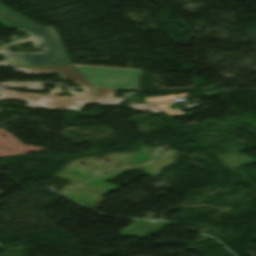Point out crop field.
Here are the masks:
<instances>
[{"label": "crop field", "mask_w": 256, "mask_h": 256, "mask_svg": "<svg viewBox=\"0 0 256 256\" xmlns=\"http://www.w3.org/2000/svg\"><path fill=\"white\" fill-rule=\"evenodd\" d=\"M0 10L3 11L4 13H6L7 15H9V16H11V17H13V18H15V19H17V20H19V21H21V22H23V23H25L29 26H31V27L39 26L38 24H36V23H34V22H32V21L16 14V13H14L13 11L7 9L2 4H0Z\"/></svg>", "instance_id": "crop-field-7"}, {"label": "crop field", "mask_w": 256, "mask_h": 256, "mask_svg": "<svg viewBox=\"0 0 256 256\" xmlns=\"http://www.w3.org/2000/svg\"><path fill=\"white\" fill-rule=\"evenodd\" d=\"M188 93H184V94H177V95H168L166 97H155V98H148L147 103H153V102H169V101H173V99L175 97H179V98H184L187 97ZM145 100V101H146Z\"/></svg>", "instance_id": "crop-field-8"}, {"label": "crop field", "mask_w": 256, "mask_h": 256, "mask_svg": "<svg viewBox=\"0 0 256 256\" xmlns=\"http://www.w3.org/2000/svg\"><path fill=\"white\" fill-rule=\"evenodd\" d=\"M25 33L32 34V37L26 40L13 42L0 48V54H3L7 60L0 62L4 67H19L37 64H55L69 63L63 46L53 28H36V29H20ZM28 41H32L34 46L41 53L19 54L12 51H6L7 45H27Z\"/></svg>", "instance_id": "crop-field-1"}, {"label": "crop field", "mask_w": 256, "mask_h": 256, "mask_svg": "<svg viewBox=\"0 0 256 256\" xmlns=\"http://www.w3.org/2000/svg\"><path fill=\"white\" fill-rule=\"evenodd\" d=\"M75 67L84 74L95 87L139 90L137 81L141 71Z\"/></svg>", "instance_id": "crop-field-2"}, {"label": "crop field", "mask_w": 256, "mask_h": 256, "mask_svg": "<svg viewBox=\"0 0 256 256\" xmlns=\"http://www.w3.org/2000/svg\"><path fill=\"white\" fill-rule=\"evenodd\" d=\"M78 66H84V65H78ZM86 67H97V66H86ZM103 68H110V67H103ZM119 69H123V68H119ZM136 70V69H134Z\"/></svg>", "instance_id": "crop-field-12"}, {"label": "crop field", "mask_w": 256, "mask_h": 256, "mask_svg": "<svg viewBox=\"0 0 256 256\" xmlns=\"http://www.w3.org/2000/svg\"><path fill=\"white\" fill-rule=\"evenodd\" d=\"M158 108H160L161 110L165 111L168 115H173V114H185L179 110H172V109H167L170 104H163V105H155Z\"/></svg>", "instance_id": "crop-field-10"}, {"label": "crop field", "mask_w": 256, "mask_h": 256, "mask_svg": "<svg viewBox=\"0 0 256 256\" xmlns=\"http://www.w3.org/2000/svg\"><path fill=\"white\" fill-rule=\"evenodd\" d=\"M56 86H57V91H60L62 93L61 87H58V85H56Z\"/></svg>", "instance_id": "crop-field-13"}, {"label": "crop field", "mask_w": 256, "mask_h": 256, "mask_svg": "<svg viewBox=\"0 0 256 256\" xmlns=\"http://www.w3.org/2000/svg\"><path fill=\"white\" fill-rule=\"evenodd\" d=\"M16 71L26 72L28 74H49L60 72L63 79L70 80L83 88V93H75V97H96L95 89L72 67L71 64L39 66V67H23L16 68Z\"/></svg>", "instance_id": "crop-field-4"}, {"label": "crop field", "mask_w": 256, "mask_h": 256, "mask_svg": "<svg viewBox=\"0 0 256 256\" xmlns=\"http://www.w3.org/2000/svg\"><path fill=\"white\" fill-rule=\"evenodd\" d=\"M55 90L51 91L50 95H34L29 93L15 91H0L1 99L25 100L28 102L27 107L80 111L83 105L91 104L94 99L90 98H74V97H59L55 96ZM43 99L48 100L45 105H41Z\"/></svg>", "instance_id": "crop-field-3"}, {"label": "crop field", "mask_w": 256, "mask_h": 256, "mask_svg": "<svg viewBox=\"0 0 256 256\" xmlns=\"http://www.w3.org/2000/svg\"><path fill=\"white\" fill-rule=\"evenodd\" d=\"M97 89H98V98L94 102L97 104L117 106L121 100L128 97L126 96L121 99H116L114 98V93L117 91L116 89H104V88H97Z\"/></svg>", "instance_id": "crop-field-5"}, {"label": "crop field", "mask_w": 256, "mask_h": 256, "mask_svg": "<svg viewBox=\"0 0 256 256\" xmlns=\"http://www.w3.org/2000/svg\"><path fill=\"white\" fill-rule=\"evenodd\" d=\"M130 109L134 108L136 110H153L154 112L160 111L157 107H155L153 104L151 105H129Z\"/></svg>", "instance_id": "crop-field-9"}, {"label": "crop field", "mask_w": 256, "mask_h": 256, "mask_svg": "<svg viewBox=\"0 0 256 256\" xmlns=\"http://www.w3.org/2000/svg\"><path fill=\"white\" fill-rule=\"evenodd\" d=\"M44 84H8L11 87H26L29 89H42Z\"/></svg>", "instance_id": "crop-field-11"}, {"label": "crop field", "mask_w": 256, "mask_h": 256, "mask_svg": "<svg viewBox=\"0 0 256 256\" xmlns=\"http://www.w3.org/2000/svg\"><path fill=\"white\" fill-rule=\"evenodd\" d=\"M0 23L8 29L27 27L22 23L3 15L1 12H0Z\"/></svg>", "instance_id": "crop-field-6"}]
</instances>
